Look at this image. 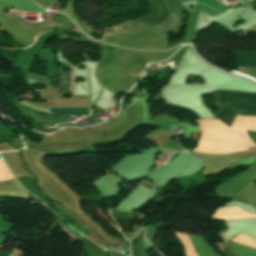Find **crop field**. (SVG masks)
<instances>
[{
	"instance_id": "8a807250",
	"label": "crop field",
	"mask_w": 256,
	"mask_h": 256,
	"mask_svg": "<svg viewBox=\"0 0 256 256\" xmlns=\"http://www.w3.org/2000/svg\"><path fill=\"white\" fill-rule=\"evenodd\" d=\"M213 95L220 107L216 117L230 126L237 114L256 116V94L221 91Z\"/></svg>"
},
{
	"instance_id": "ac0d7876",
	"label": "crop field",
	"mask_w": 256,
	"mask_h": 256,
	"mask_svg": "<svg viewBox=\"0 0 256 256\" xmlns=\"http://www.w3.org/2000/svg\"><path fill=\"white\" fill-rule=\"evenodd\" d=\"M222 246L228 247L237 256H256V249L235 242L228 241Z\"/></svg>"
},
{
	"instance_id": "34b2d1b8",
	"label": "crop field",
	"mask_w": 256,
	"mask_h": 256,
	"mask_svg": "<svg viewBox=\"0 0 256 256\" xmlns=\"http://www.w3.org/2000/svg\"><path fill=\"white\" fill-rule=\"evenodd\" d=\"M239 61L240 66L256 67V51L252 52H234Z\"/></svg>"
},
{
	"instance_id": "412701ff",
	"label": "crop field",
	"mask_w": 256,
	"mask_h": 256,
	"mask_svg": "<svg viewBox=\"0 0 256 256\" xmlns=\"http://www.w3.org/2000/svg\"><path fill=\"white\" fill-rule=\"evenodd\" d=\"M179 1L182 2V1H185V0H179ZM197 1L203 3V4L207 5V6H210V7L214 8V9L220 11V12H222V11H224L226 9V8L222 7L219 3H216V2H214L212 0H197ZM196 8H198V9L204 11V12H207V13H209L211 15L219 13V12H217V11L211 9V8H208V7H206V6H204V5L200 4V3H197Z\"/></svg>"
},
{
	"instance_id": "f4fd0767",
	"label": "crop field",
	"mask_w": 256,
	"mask_h": 256,
	"mask_svg": "<svg viewBox=\"0 0 256 256\" xmlns=\"http://www.w3.org/2000/svg\"><path fill=\"white\" fill-rule=\"evenodd\" d=\"M71 74H72V85H71ZM71 74L66 73L64 71L60 72V87H59L58 92H63V91L69 90L70 85H71L70 91H72L73 85H74V70H72Z\"/></svg>"
},
{
	"instance_id": "dd49c442",
	"label": "crop field",
	"mask_w": 256,
	"mask_h": 256,
	"mask_svg": "<svg viewBox=\"0 0 256 256\" xmlns=\"http://www.w3.org/2000/svg\"><path fill=\"white\" fill-rule=\"evenodd\" d=\"M177 20H178V18L170 12V14L167 16V18L164 21L156 24L155 26H157L165 31H168L175 26Z\"/></svg>"
},
{
	"instance_id": "e52e79f7",
	"label": "crop field",
	"mask_w": 256,
	"mask_h": 256,
	"mask_svg": "<svg viewBox=\"0 0 256 256\" xmlns=\"http://www.w3.org/2000/svg\"><path fill=\"white\" fill-rule=\"evenodd\" d=\"M52 113L59 114H88V108H74V109H49Z\"/></svg>"
},
{
	"instance_id": "d8731c3e",
	"label": "crop field",
	"mask_w": 256,
	"mask_h": 256,
	"mask_svg": "<svg viewBox=\"0 0 256 256\" xmlns=\"http://www.w3.org/2000/svg\"><path fill=\"white\" fill-rule=\"evenodd\" d=\"M29 79V83L32 85L34 83H44L45 85L52 86L49 81H47L46 77L43 76H35V75H27ZM50 88V87H47Z\"/></svg>"
},
{
	"instance_id": "5a996713",
	"label": "crop field",
	"mask_w": 256,
	"mask_h": 256,
	"mask_svg": "<svg viewBox=\"0 0 256 256\" xmlns=\"http://www.w3.org/2000/svg\"><path fill=\"white\" fill-rule=\"evenodd\" d=\"M247 134H248L249 137L252 139V141L254 142V144H256V132L247 131Z\"/></svg>"
},
{
	"instance_id": "3316defc",
	"label": "crop field",
	"mask_w": 256,
	"mask_h": 256,
	"mask_svg": "<svg viewBox=\"0 0 256 256\" xmlns=\"http://www.w3.org/2000/svg\"><path fill=\"white\" fill-rule=\"evenodd\" d=\"M0 256H7V252L5 253L0 252Z\"/></svg>"
}]
</instances>
